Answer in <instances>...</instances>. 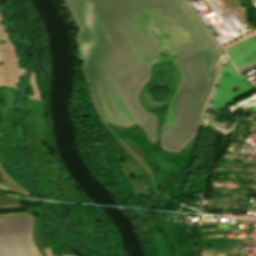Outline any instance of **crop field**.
<instances>
[{
    "label": "crop field",
    "instance_id": "8a807250",
    "mask_svg": "<svg viewBox=\"0 0 256 256\" xmlns=\"http://www.w3.org/2000/svg\"><path fill=\"white\" fill-rule=\"evenodd\" d=\"M0 256H41L31 232L0 236Z\"/></svg>",
    "mask_w": 256,
    "mask_h": 256
},
{
    "label": "crop field",
    "instance_id": "34b2d1b8",
    "mask_svg": "<svg viewBox=\"0 0 256 256\" xmlns=\"http://www.w3.org/2000/svg\"><path fill=\"white\" fill-rule=\"evenodd\" d=\"M29 211H30V208L27 206H15V207L0 208V214L21 213V212H29Z\"/></svg>",
    "mask_w": 256,
    "mask_h": 256
},
{
    "label": "crop field",
    "instance_id": "ac0d7876",
    "mask_svg": "<svg viewBox=\"0 0 256 256\" xmlns=\"http://www.w3.org/2000/svg\"><path fill=\"white\" fill-rule=\"evenodd\" d=\"M31 231V216L0 218V235Z\"/></svg>",
    "mask_w": 256,
    "mask_h": 256
}]
</instances>
